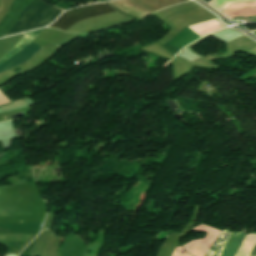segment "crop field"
<instances>
[{"label":"crop field","mask_w":256,"mask_h":256,"mask_svg":"<svg viewBox=\"0 0 256 256\" xmlns=\"http://www.w3.org/2000/svg\"><path fill=\"white\" fill-rule=\"evenodd\" d=\"M61 12L56 8L47 6L40 0H33L25 8L15 27L4 36L44 27L53 22Z\"/></svg>","instance_id":"crop-field-1"},{"label":"crop field","mask_w":256,"mask_h":256,"mask_svg":"<svg viewBox=\"0 0 256 256\" xmlns=\"http://www.w3.org/2000/svg\"><path fill=\"white\" fill-rule=\"evenodd\" d=\"M32 41L33 39L22 35L9 48L2 52L0 54V73L27 61L42 48Z\"/></svg>","instance_id":"crop-field-2"},{"label":"crop field","mask_w":256,"mask_h":256,"mask_svg":"<svg viewBox=\"0 0 256 256\" xmlns=\"http://www.w3.org/2000/svg\"><path fill=\"white\" fill-rule=\"evenodd\" d=\"M116 11L106 3L96 5L84 6L77 9L69 10L63 13L60 18L49 27L59 28L65 31L70 26L94 16L110 13Z\"/></svg>","instance_id":"crop-field-3"},{"label":"crop field","mask_w":256,"mask_h":256,"mask_svg":"<svg viewBox=\"0 0 256 256\" xmlns=\"http://www.w3.org/2000/svg\"><path fill=\"white\" fill-rule=\"evenodd\" d=\"M246 231L247 229L244 228L241 232H231L218 256H234L235 251L246 234Z\"/></svg>","instance_id":"crop-field-4"},{"label":"crop field","mask_w":256,"mask_h":256,"mask_svg":"<svg viewBox=\"0 0 256 256\" xmlns=\"http://www.w3.org/2000/svg\"><path fill=\"white\" fill-rule=\"evenodd\" d=\"M43 29L44 28L33 30V31H29V32H25V34L35 38Z\"/></svg>","instance_id":"crop-field-5"},{"label":"crop field","mask_w":256,"mask_h":256,"mask_svg":"<svg viewBox=\"0 0 256 256\" xmlns=\"http://www.w3.org/2000/svg\"><path fill=\"white\" fill-rule=\"evenodd\" d=\"M2 152H3V147H2L1 142H0V153H2Z\"/></svg>","instance_id":"crop-field-6"},{"label":"crop field","mask_w":256,"mask_h":256,"mask_svg":"<svg viewBox=\"0 0 256 256\" xmlns=\"http://www.w3.org/2000/svg\"><path fill=\"white\" fill-rule=\"evenodd\" d=\"M204 1H206V2L208 3L209 0H204ZM209 2H210V1H209Z\"/></svg>","instance_id":"crop-field-7"},{"label":"crop field","mask_w":256,"mask_h":256,"mask_svg":"<svg viewBox=\"0 0 256 256\" xmlns=\"http://www.w3.org/2000/svg\"><path fill=\"white\" fill-rule=\"evenodd\" d=\"M3 154L0 155V158L2 157Z\"/></svg>","instance_id":"crop-field-8"},{"label":"crop field","mask_w":256,"mask_h":256,"mask_svg":"<svg viewBox=\"0 0 256 256\" xmlns=\"http://www.w3.org/2000/svg\"><path fill=\"white\" fill-rule=\"evenodd\" d=\"M251 17H255L256 18V16H251Z\"/></svg>","instance_id":"crop-field-9"}]
</instances>
